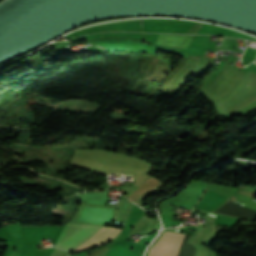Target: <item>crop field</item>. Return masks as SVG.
I'll return each mask as SVG.
<instances>
[{
    "label": "crop field",
    "instance_id": "1",
    "mask_svg": "<svg viewBox=\"0 0 256 256\" xmlns=\"http://www.w3.org/2000/svg\"><path fill=\"white\" fill-rule=\"evenodd\" d=\"M102 226L66 223L56 247L74 250L95 234Z\"/></svg>",
    "mask_w": 256,
    "mask_h": 256
},
{
    "label": "crop field",
    "instance_id": "2",
    "mask_svg": "<svg viewBox=\"0 0 256 256\" xmlns=\"http://www.w3.org/2000/svg\"><path fill=\"white\" fill-rule=\"evenodd\" d=\"M183 234L164 232L149 249L148 256H173Z\"/></svg>",
    "mask_w": 256,
    "mask_h": 256
},
{
    "label": "crop field",
    "instance_id": "3",
    "mask_svg": "<svg viewBox=\"0 0 256 256\" xmlns=\"http://www.w3.org/2000/svg\"><path fill=\"white\" fill-rule=\"evenodd\" d=\"M121 229L102 227L101 230L74 251H82L103 244L119 234Z\"/></svg>",
    "mask_w": 256,
    "mask_h": 256
},
{
    "label": "crop field",
    "instance_id": "4",
    "mask_svg": "<svg viewBox=\"0 0 256 256\" xmlns=\"http://www.w3.org/2000/svg\"><path fill=\"white\" fill-rule=\"evenodd\" d=\"M192 36L193 35L159 34L155 44L170 48H188Z\"/></svg>",
    "mask_w": 256,
    "mask_h": 256
},
{
    "label": "crop field",
    "instance_id": "5",
    "mask_svg": "<svg viewBox=\"0 0 256 256\" xmlns=\"http://www.w3.org/2000/svg\"><path fill=\"white\" fill-rule=\"evenodd\" d=\"M202 24L195 23L194 26L189 30L188 33H194Z\"/></svg>",
    "mask_w": 256,
    "mask_h": 256
},
{
    "label": "crop field",
    "instance_id": "6",
    "mask_svg": "<svg viewBox=\"0 0 256 256\" xmlns=\"http://www.w3.org/2000/svg\"><path fill=\"white\" fill-rule=\"evenodd\" d=\"M185 236H186V235L184 234L183 237H182V239H181V241H180V244H179V246H178V248H177V250H176L174 256H177V255H178L179 250H180V248H181V245H182V243H183V241H184Z\"/></svg>",
    "mask_w": 256,
    "mask_h": 256
}]
</instances>
